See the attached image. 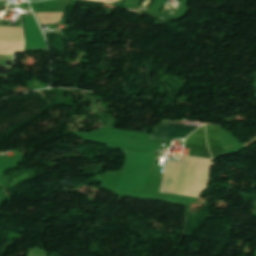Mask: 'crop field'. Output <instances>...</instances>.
<instances>
[{
	"mask_svg": "<svg viewBox=\"0 0 256 256\" xmlns=\"http://www.w3.org/2000/svg\"><path fill=\"white\" fill-rule=\"evenodd\" d=\"M0 40H24L21 26H0Z\"/></svg>",
	"mask_w": 256,
	"mask_h": 256,
	"instance_id": "412701ff",
	"label": "crop field"
},
{
	"mask_svg": "<svg viewBox=\"0 0 256 256\" xmlns=\"http://www.w3.org/2000/svg\"><path fill=\"white\" fill-rule=\"evenodd\" d=\"M40 25L57 24L63 13H35Z\"/></svg>",
	"mask_w": 256,
	"mask_h": 256,
	"instance_id": "f4fd0767",
	"label": "crop field"
},
{
	"mask_svg": "<svg viewBox=\"0 0 256 256\" xmlns=\"http://www.w3.org/2000/svg\"><path fill=\"white\" fill-rule=\"evenodd\" d=\"M206 128L208 147L212 156L225 154L219 137L217 125H206Z\"/></svg>",
	"mask_w": 256,
	"mask_h": 256,
	"instance_id": "34b2d1b8",
	"label": "crop field"
},
{
	"mask_svg": "<svg viewBox=\"0 0 256 256\" xmlns=\"http://www.w3.org/2000/svg\"><path fill=\"white\" fill-rule=\"evenodd\" d=\"M198 127L184 126L181 123L161 121L157 124L151 138L184 139Z\"/></svg>",
	"mask_w": 256,
	"mask_h": 256,
	"instance_id": "8a807250",
	"label": "crop field"
},
{
	"mask_svg": "<svg viewBox=\"0 0 256 256\" xmlns=\"http://www.w3.org/2000/svg\"><path fill=\"white\" fill-rule=\"evenodd\" d=\"M92 1L107 2L115 5H122L124 0H92Z\"/></svg>",
	"mask_w": 256,
	"mask_h": 256,
	"instance_id": "dd49c442",
	"label": "crop field"
},
{
	"mask_svg": "<svg viewBox=\"0 0 256 256\" xmlns=\"http://www.w3.org/2000/svg\"><path fill=\"white\" fill-rule=\"evenodd\" d=\"M185 148H189L188 155L211 158L210 152L206 146L204 125L187 138Z\"/></svg>",
	"mask_w": 256,
	"mask_h": 256,
	"instance_id": "ac0d7876",
	"label": "crop field"
}]
</instances>
